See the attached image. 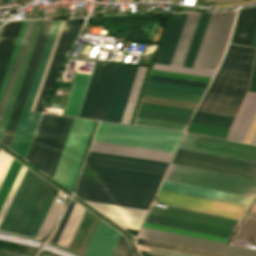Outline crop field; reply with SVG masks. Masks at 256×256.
Returning <instances> with one entry per match:
<instances>
[{
	"mask_svg": "<svg viewBox=\"0 0 256 256\" xmlns=\"http://www.w3.org/2000/svg\"><path fill=\"white\" fill-rule=\"evenodd\" d=\"M242 219L247 206L159 190L154 201ZM164 205L152 206L142 227L227 243L239 219ZM250 208V207H249Z\"/></svg>",
	"mask_w": 256,
	"mask_h": 256,
	"instance_id": "crop-field-1",
	"label": "crop field"
},
{
	"mask_svg": "<svg viewBox=\"0 0 256 256\" xmlns=\"http://www.w3.org/2000/svg\"><path fill=\"white\" fill-rule=\"evenodd\" d=\"M162 177L85 164L76 194L87 201L147 209Z\"/></svg>",
	"mask_w": 256,
	"mask_h": 256,
	"instance_id": "crop-field-2",
	"label": "crop field"
},
{
	"mask_svg": "<svg viewBox=\"0 0 256 256\" xmlns=\"http://www.w3.org/2000/svg\"><path fill=\"white\" fill-rule=\"evenodd\" d=\"M256 49L229 44L198 111L234 117L248 88Z\"/></svg>",
	"mask_w": 256,
	"mask_h": 256,
	"instance_id": "crop-field-3",
	"label": "crop field"
},
{
	"mask_svg": "<svg viewBox=\"0 0 256 256\" xmlns=\"http://www.w3.org/2000/svg\"><path fill=\"white\" fill-rule=\"evenodd\" d=\"M57 191L27 170L0 229L34 238Z\"/></svg>",
	"mask_w": 256,
	"mask_h": 256,
	"instance_id": "crop-field-4",
	"label": "crop field"
},
{
	"mask_svg": "<svg viewBox=\"0 0 256 256\" xmlns=\"http://www.w3.org/2000/svg\"><path fill=\"white\" fill-rule=\"evenodd\" d=\"M182 134L100 122L93 140L173 153Z\"/></svg>",
	"mask_w": 256,
	"mask_h": 256,
	"instance_id": "crop-field-5",
	"label": "crop field"
},
{
	"mask_svg": "<svg viewBox=\"0 0 256 256\" xmlns=\"http://www.w3.org/2000/svg\"><path fill=\"white\" fill-rule=\"evenodd\" d=\"M73 118L46 114L29 162L53 177Z\"/></svg>",
	"mask_w": 256,
	"mask_h": 256,
	"instance_id": "crop-field-6",
	"label": "crop field"
},
{
	"mask_svg": "<svg viewBox=\"0 0 256 256\" xmlns=\"http://www.w3.org/2000/svg\"><path fill=\"white\" fill-rule=\"evenodd\" d=\"M164 180L256 197V180L184 166L171 164Z\"/></svg>",
	"mask_w": 256,
	"mask_h": 256,
	"instance_id": "crop-field-7",
	"label": "crop field"
},
{
	"mask_svg": "<svg viewBox=\"0 0 256 256\" xmlns=\"http://www.w3.org/2000/svg\"><path fill=\"white\" fill-rule=\"evenodd\" d=\"M95 122L93 120L73 119L53 177L70 191L75 182Z\"/></svg>",
	"mask_w": 256,
	"mask_h": 256,
	"instance_id": "crop-field-8",
	"label": "crop field"
},
{
	"mask_svg": "<svg viewBox=\"0 0 256 256\" xmlns=\"http://www.w3.org/2000/svg\"><path fill=\"white\" fill-rule=\"evenodd\" d=\"M237 10L212 12L193 67L216 69L227 43Z\"/></svg>",
	"mask_w": 256,
	"mask_h": 256,
	"instance_id": "crop-field-9",
	"label": "crop field"
},
{
	"mask_svg": "<svg viewBox=\"0 0 256 256\" xmlns=\"http://www.w3.org/2000/svg\"><path fill=\"white\" fill-rule=\"evenodd\" d=\"M120 66L95 63L79 117L104 119Z\"/></svg>",
	"mask_w": 256,
	"mask_h": 256,
	"instance_id": "crop-field-10",
	"label": "crop field"
},
{
	"mask_svg": "<svg viewBox=\"0 0 256 256\" xmlns=\"http://www.w3.org/2000/svg\"><path fill=\"white\" fill-rule=\"evenodd\" d=\"M61 21H54L49 37L48 42L45 45L39 66L37 68L28 98L26 100L17 130L15 132L12 144L10 149H12L17 154L22 157H26L27 151L29 149L32 137L34 135L37 123L39 121L41 113L29 112L31 103L33 101L36 89L38 87L41 75L43 73L47 58L49 56L52 44L54 42L57 30L59 28Z\"/></svg>",
	"mask_w": 256,
	"mask_h": 256,
	"instance_id": "crop-field-11",
	"label": "crop field"
},
{
	"mask_svg": "<svg viewBox=\"0 0 256 256\" xmlns=\"http://www.w3.org/2000/svg\"><path fill=\"white\" fill-rule=\"evenodd\" d=\"M171 163L256 179V163L196 151L178 148Z\"/></svg>",
	"mask_w": 256,
	"mask_h": 256,
	"instance_id": "crop-field-12",
	"label": "crop field"
},
{
	"mask_svg": "<svg viewBox=\"0 0 256 256\" xmlns=\"http://www.w3.org/2000/svg\"><path fill=\"white\" fill-rule=\"evenodd\" d=\"M53 21H42L38 36L36 38L28 65L26 67L18 94L16 96L7 126L1 142L10 147L17 123L19 121L35 70L37 68L44 44L49 34Z\"/></svg>",
	"mask_w": 256,
	"mask_h": 256,
	"instance_id": "crop-field-13",
	"label": "crop field"
},
{
	"mask_svg": "<svg viewBox=\"0 0 256 256\" xmlns=\"http://www.w3.org/2000/svg\"><path fill=\"white\" fill-rule=\"evenodd\" d=\"M180 148L256 162V146L185 133Z\"/></svg>",
	"mask_w": 256,
	"mask_h": 256,
	"instance_id": "crop-field-14",
	"label": "crop field"
},
{
	"mask_svg": "<svg viewBox=\"0 0 256 256\" xmlns=\"http://www.w3.org/2000/svg\"><path fill=\"white\" fill-rule=\"evenodd\" d=\"M138 237L233 256H256V250L142 228Z\"/></svg>",
	"mask_w": 256,
	"mask_h": 256,
	"instance_id": "crop-field-15",
	"label": "crop field"
},
{
	"mask_svg": "<svg viewBox=\"0 0 256 256\" xmlns=\"http://www.w3.org/2000/svg\"><path fill=\"white\" fill-rule=\"evenodd\" d=\"M82 19L66 20L63 30L61 32L55 53L53 55L47 76L45 78L39 99L37 101L34 111L41 112L45 99L54 83L61 59L74 40L80 26Z\"/></svg>",
	"mask_w": 256,
	"mask_h": 256,
	"instance_id": "crop-field-16",
	"label": "crop field"
},
{
	"mask_svg": "<svg viewBox=\"0 0 256 256\" xmlns=\"http://www.w3.org/2000/svg\"><path fill=\"white\" fill-rule=\"evenodd\" d=\"M138 67L122 65L104 120L121 121Z\"/></svg>",
	"mask_w": 256,
	"mask_h": 256,
	"instance_id": "crop-field-17",
	"label": "crop field"
},
{
	"mask_svg": "<svg viewBox=\"0 0 256 256\" xmlns=\"http://www.w3.org/2000/svg\"><path fill=\"white\" fill-rule=\"evenodd\" d=\"M160 189L209 198V199H215V200H220L225 202H231V203H236L241 205H247V206H250L252 201L254 200L253 197H247V196H242L237 194L209 190V189L182 185V184L166 182V181H163Z\"/></svg>",
	"mask_w": 256,
	"mask_h": 256,
	"instance_id": "crop-field-18",
	"label": "crop field"
},
{
	"mask_svg": "<svg viewBox=\"0 0 256 256\" xmlns=\"http://www.w3.org/2000/svg\"><path fill=\"white\" fill-rule=\"evenodd\" d=\"M87 202V201H86ZM123 228L138 230L147 210L88 202Z\"/></svg>",
	"mask_w": 256,
	"mask_h": 256,
	"instance_id": "crop-field-19",
	"label": "crop field"
},
{
	"mask_svg": "<svg viewBox=\"0 0 256 256\" xmlns=\"http://www.w3.org/2000/svg\"><path fill=\"white\" fill-rule=\"evenodd\" d=\"M187 14H172L155 62L171 63Z\"/></svg>",
	"mask_w": 256,
	"mask_h": 256,
	"instance_id": "crop-field-20",
	"label": "crop field"
},
{
	"mask_svg": "<svg viewBox=\"0 0 256 256\" xmlns=\"http://www.w3.org/2000/svg\"><path fill=\"white\" fill-rule=\"evenodd\" d=\"M120 234L100 221L85 256H110Z\"/></svg>",
	"mask_w": 256,
	"mask_h": 256,
	"instance_id": "crop-field-21",
	"label": "crop field"
},
{
	"mask_svg": "<svg viewBox=\"0 0 256 256\" xmlns=\"http://www.w3.org/2000/svg\"><path fill=\"white\" fill-rule=\"evenodd\" d=\"M255 32L256 6L239 9L230 42L251 46Z\"/></svg>",
	"mask_w": 256,
	"mask_h": 256,
	"instance_id": "crop-field-22",
	"label": "crop field"
},
{
	"mask_svg": "<svg viewBox=\"0 0 256 256\" xmlns=\"http://www.w3.org/2000/svg\"><path fill=\"white\" fill-rule=\"evenodd\" d=\"M256 113V93L248 92L226 139L243 141Z\"/></svg>",
	"mask_w": 256,
	"mask_h": 256,
	"instance_id": "crop-field-23",
	"label": "crop field"
},
{
	"mask_svg": "<svg viewBox=\"0 0 256 256\" xmlns=\"http://www.w3.org/2000/svg\"><path fill=\"white\" fill-rule=\"evenodd\" d=\"M89 150L169 162L170 153L93 141Z\"/></svg>",
	"mask_w": 256,
	"mask_h": 256,
	"instance_id": "crop-field-24",
	"label": "crop field"
},
{
	"mask_svg": "<svg viewBox=\"0 0 256 256\" xmlns=\"http://www.w3.org/2000/svg\"><path fill=\"white\" fill-rule=\"evenodd\" d=\"M90 76L91 75L89 74L75 73L62 114L76 117L79 116Z\"/></svg>",
	"mask_w": 256,
	"mask_h": 256,
	"instance_id": "crop-field-25",
	"label": "crop field"
},
{
	"mask_svg": "<svg viewBox=\"0 0 256 256\" xmlns=\"http://www.w3.org/2000/svg\"><path fill=\"white\" fill-rule=\"evenodd\" d=\"M23 21L8 22L0 36V85Z\"/></svg>",
	"mask_w": 256,
	"mask_h": 256,
	"instance_id": "crop-field-26",
	"label": "crop field"
},
{
	"mask_svg": "<svg viewBox=\"0 0 256 256\" xmlns=\"http://www.w3.org/2000/svg\"><path fill=\"white\" fill-rule=\"evenodd\" d=\"M99 221L100 219L85 211L68 249L83 255Z\"/></svg>",
	"mask_w": 256,
	"mask_h": 256,
	"instance_id": "crop-field-27",
	"label": "crop field"
},
{
	"mask_svg": "<svg viewBox=\"0 0 256 256\" xmlns=\"http://www.w3.org/2000/svg\"><path fill=\"white\" fill-rule=\"evenodd\" d=\"M85 163L101 165V166H108V167H115V168H123V169L148 172V173H154V174H160V175H163L167 168L164 166H157V165H151V164L137 163V162H131V161L104 158V157H97V156H91V155L87 156Z\"/></svg>",
	"mask_w": 256,
	"mask_h": 256,
	"instance_id": "crop-field-28",
	"label": "crop field"
},
{
	"mask_svg": "<svg viewBox=\"0 0 256 256\" xmlns=\"http://www.w3.org/2000/svg\"><path fill=\"white\" fill-rule=\"evenodd\" d=\"M41 21H42V20H39V21L36 22V25H35V28H34V30H33V33H32L31 39H30V42H29V44H28V47H27L25 56H24V58H23V61H22L20 70H19V72H18V75H17L16 81H15L14 87H13V89H12V92H11V95H10V98H9V101H8V103H7V106H6L4 115H3V117H2V120H1V123H0V140H1V137H2V134H3V131H4V128H5V126H6V123H7V120H8V117H9V114H10V111H11V108H12V105H13V102H14V99H15V96H16V94H17V91H18V88H19V85H20V82H21V79H22V76H23L25 67H26V65H27V62H28V59H29V56H30V53H31V50H32V47H33V44H34V41H35V38H36V35H37V33H38V30H39ZM37 36H38V35H37Z\"/></svg>",
	"mask_w": 256,
	"mask_h": 256,
	"instance_id": "crop-field-29",
	"label": "crop field"
},
{
	"mask_svg": "<svg viewBox=\"0 0 256 256\" xmlns=\"http://www.w3.org/2000/svg\"><path fill=\"white\" fill-rule=\"evenodd\" d=\"M200 13H189L171 64L183 65Z\"/></svg>",
	"mask_w": 256,
	"mask_h": 256,
	"instance_id": "crop-field-30",
	"label": "crop field"
},
{
	"mask_svg": "<svg viewBox=\"0 0 256 256\" xmlns=\"http://www.w3.org/2000/svg\"><path fill=\"white\" fill-rule=\"evenodd\" d=\"M35 22H36V21H29V22H28V25H27V28H26V31H25L23 40H22V42H21V45H20V48H19V51H18L16 60H15V63H14V66H13V69H12V72H11V75H10V78H9V80H8V83H7V86H6V89H5V92H4V95H3V98H2L1 104H0V120H1V117H2V115H3V112H4V109H5L6 103H7V101H8V98H9V95H10V92H11V89H12V87H13V84H14V81H15V78H16V75H17V72H18V70H19V67H20L22 58H23V56H24V53H25L27 44H28V42H29V39H30L32 30H33V28H34Z\"/></svg>",
	"mask_w": 256,
	"mask_h": 256,
	"instance_id": "crop-field-31",
	"label": "crop field"
},
{
	"mask_svg": "<svg viewBox=\"0 0 256 256\" xmlns=\"http://www.w3.org/2000/svg\"><path fill=\"white\" fill-rule=\"evenodd\" d=\"M209 16H210V13H201L200 14V17H199V20H198V23H197V26H196V29H195V32H194V35H193V38H192V41H191V44H190V47H189V50H188V53H187V56H186L183 66H188V67L193 66V61L195 60V57H196L200 42L202 40Z\"/></svg>",
	"mask_w": 256,
	"mask_h": 256,
	"instance_id": "crop-field-32",
	"label": "crop field"
},
{
	"mask_svg": "<svg viewBox=\"0 0 256 256\" xmlns=\"http://www.w3.org/2000/svg\"><path fill=\"white\" fill-rule=\"evenodd\" d=\"M84 211L85 209L82 208L79 204L77 203L75 204L70 214V217L63 229V232L57 242V245H60L66 248L68 247Z\"/></svg>",
	"mask_w": 256,
	"mask_h": 256,
	"instance_id": "crop-field-33",
	"label": "crop field"
},
{
	"mask_svg": "<svg viewBox=\"0 0 256 256\" xmlns=\"http://www.w3.org/2000/svg\"><path fill=\"white\" fill-rule=\"evenodd\" d=\"M139 111L190 118L194 110L142 102Z\"/></svg>",
	"mask_w": 256,
	"mask_h": 256,
	"instance_id": "crop-field-34",
	"label": "crop field"
},
{
	"mask_svg": "<svg viewBox=\"0 0 256 256\" xmlns=\"http://www.w3.org/2000/svg\"><path fill=\"white\" fill-rule=\"evenodd\" d=\"M147 68L139 67L121 122L129 123Z\"/></svg>",
	"mask_w": 256,
	"mask_h": 256,
	"instance_id": "crop-field-35",
	"label": "crop field"
},
{
	"mask_svg": "<svg viewBox=\"0 0 256 256\" xmlns=\"http://www.w3.org/2000/svg\"><path fill=\"white\" fill-rule=\"evenodd\" d=\"M62 194H63L62 192L58 191V193L48 211V214H47V216L37 234V238H42L43 235L48 231L50 226L53 224V221L61 215L65 205L58 203V201Z\"/></svg>",
	"mask_w": 256,
	"mask_h": 256,
	"instance_id": "crop-field-36",
	"label": "crop field"
},
{
	"mask_svg": "<svg viewBox=\"0 0 256 256\" xmlns=\"http://www.w3.org/2000/svg\"><path fill=\"white\" fill-rule=\"evenodd\" d=\"M228 129L227 127L191 121L186 131L224 138Z\"/></svg>",
	"mask_w": 256,
	"mask_h": 256,
	"instance_id": "crop-field-37",
	"label": "crop field"
},
{
	"mask_svg": "<svg viewBox=\"0 0 256 256\" xmlns=\"http://www.w3.org/2000/svg\"><path fill=\"white\" fill-rule=\"evenodd\" d=\"M147 87L171 90V91H178V92H185V93H192V94H199V95H202L205 90V88H203V87L188 86V85L159 82V81H152V80H149Z\"/></svg>",
	"mask_w": 256,
	"mask_h": 256,
	"instance_id": "crop-field-38",
	"label": "crop field"
},
{
	"mask_svg": "<svg viewBox=\"0 0 256 256\" xmlns=\"http://www.w3.org/2000/svg\"><path fill=\"white\" fill-rule=\"evenodd\" d=\"M144 95L181 100V101H187V102H194V103H198V101L201 98V96L199 95H192V94H185V93H178V92H171V91H164V90H157V89H150V88L146 89Z\"/></svg>",
	"mask_w": 256,
	"mask_h": 256,
	"instance_id": "crop-field-39",
	"label": "crop field"
},
{
	"mask_svg": "<svg viewBox=\"0 0 256 256\" xmlns=\"http://www.w3.org/2000/svg\"><path fill=\"white\" fill-rule=\"evenodd\" d=\"M137 239L139 244H144V245H149V246H154V247H159V248H164L169 250H175V251H180V252H185V253H190V254H195L200 256H227V255L201 251V250H196V249H191V248H186L181 246H175V245H170V244H165V243H160L155 241H149V240H144L139 238Z\"/></svg>",
	"mask_w": 256,
	"mask_h": 256,
	"instance_id": "crop-field-40",
	"label": "crop field"
},
{
	"mask_svg": "<svg viewBox=\"0 0 256 256\" xmlns=\"http://www.w3.org/2000/svg\"><path fill=\"white\" fill-rule=\"evenodd\" d=\"M192 120L229 127L233 118L196 111Z\"/></svg>",
	"mask_w": 256,
	"mask_h": 256,
	"instance_id": "crop-field-41",
	"label": "crop field"
},
{
	"mask_svg": "<svg viewBox=\"0 0 256 256\" xmlns=\"http://www.w3.org/2000/svg\"><path fill=\"white\" fill-rule=\"evenodd\" d=\"M236 238L246 240L256 244V219L247 216L242 227L237 233Z\"/></svg>",
	"mask_w": 256,
	"mask_h": 256,
	"instance_id": "crop-field-42",
	"label": "crop field"
},
{
	"mask_svg": "<svg viewBox=\"0 0 256 256\" xmlns=\"http://www.w3.org/2000/svg\"><path fill=\"white\" fill-rule=\"evenodd\" d=\"M135 124L166 128V129H172V130H179V131H184L187 125L183 123L165 122V121L152 120V119H146V118H140V117L136 118Z\"/></svg>",
	"mask_w": 256,
	"mask_h": 256,
	"instance_id": "crop-field-43",
	"label": "crop field"
},
{
	"mask_svg": "<svg viewBox=\"0 0 256 256\" xmlns=\"http://www.w3.org/2000/svg\"><path fill=\"white\" fill-rule=\"evenodd\" d=\"M27 22H28V21H24V22H23V25H22V28H21V30H20V33H19V36H18L16 45H15V48H14V50H13V53H12V56H11V59H10V62H9V65H8V67H7V70H6V73H5V76H4L2 85H1V87H0V101H1V98H2V95H3V92H4V89H5V86H6L8 77H9V75H10V72H11V69H12V66H13V63H14V60H15V57H16V54H17V51H18V48H19V45H20V42H21V39H22V37H23V34H24V31H25Z\"/></svg>",
	"mask_w": 256,
	"mask_h": 256,
	"instance_id": "crop-field-44",
	"label": "crop field"
},
{
	"mask_svg": "<svg viewBox=\"0 0 256 256\" xmlns=\"http://www.w3.org/2000/svg\"><path fill=\"white\" fill-rule=\"evenodd\" d=\"M26 169H27L26 167L22 166V168H21V170H20V172H19V174H18V176H17V178H16V180H15V182H14V184H13V186H12V188H11V190H10V192H9V194H8L6 200H5V202H4V204L1 208V210H0V224L3 220V218H4V215H5L7 209L10 205V202H11V200H12V198H13L15 192H16V189H17V187H18Z\"/></svg>",
	"mask_w": 256,
	"mask_h": 256,
	"instance_id": "crop-field-45",
	"label": "crop field"
},
{
	"mask_svg": "<svg viewBox=\"0 0 256 256\" xmlns=\"http://www.w3.org/2000/svg\"><path fill=\"white\" fill-rule=\"evenodd\" d=\"M153 68L169 70V71H176V72H183V73H189V74H196V75H203V76H209V77H212L213 73H214L211 71H203V70H196V69L183 68V67H177V66H169V65H159V64H154Z\"/></svg>",
	"mask_w": 256,
	"mask_h": 256,
	"instance_id": "crop-field-46",
	"label": "crop field"
},
{
	"mask_svg": "<svg viewBox=\"0 0 256 256\" xmlns=\"http://www.w3.org/2000/svg\"><path fill=\"white\" fill-rule=\"evenodd\" d=\"M142 101L151 102V103H158V104H165V105H171V106H178V107H185V108H191V109H194L195 106H196V104H194V103H187V102H181V101L160 99V98L147 97V96H144Z\"/></svg>",
	"mask_w": 256,
	"mask_h": 256,
	"instance_id": "crop-field-47",
	"label": "crop field"
},
{
	"mask_svg": "<svg viewBox=\"0 0 256 256\" xmlns=\"http://www.w3.org/2000/svg\"><path fill=\"white\" fill-rule=\"evenodd\" d=\"M88 154H91V155H98V156H104V157H111V158H118V159H124V160H131V161H138V162H144V163L158 164V165H164V166H167V165H168V163H166V162H159V161H153V160H146V159H139V158L126 157V156L105 154V153L92 152V151H89Z\"/></svg>",
	"mask_w": 256,
	"mask_h": 256,
	"instance_id": "crop-field-48",
	"label": "crop field"
},
{
	"mask_svg": "<svg viewBox=\"0 0 256 256\" xmlns=\"http://www.w3.org/2000/svg\"><path fill=\"white\" fill-rule=\"evenodd\" d=\"M64 21H65V20H64ZM64 21H62V22H61L60 28H59V30H58V33H57V36H56V39H55V42H54L53 48H52V50H51V53H50V56H49V59H48L47 65H46V67H45V70H44V73H43V76H42L41 82H40V84H39V87H38V90H37V93H36V96H35L34 102H33L32 107H31V110H32V111L34 110V107H35L36 101H37V99H38V96H39V93H40V90H41V87H42V84H43L44 78H45V76H46V73H47V70H48V67H49V64H50V61H51L52 55H53V53H54V50H55V47H56V44H57V41H58V38H59L60 32H61V30H62V27H63Z\"/></svg>",
	"mask_w": 256,
	"mask_h": 256,
	"instance_id": "crop-field-49",
	"label": "crop field"
},
{
	"mask_svg": "<svg viewBox=\"0 0 256 256\" xmlns=\"http://www.w3.org/2000/svg\"><path fill=\"white\" fill-rule=\"evenodd\" d=\"M111 256H133L124 237L120 236Z\"/></svg>",
	"mask_w": 256,
	"mask_h": 256,
	"instance_id": "crop-field-50",
	"label": "crop field"
},
{
	"mask_svg": "<svg viewBox=\"0 0 256 256\" xmlns=\"http://www.w3.org/2000/svg\"><path fill=\"white\" fill-rule=\"evenodd\" d=\"M13 158L0 150V184L12 162Z\"/></svg>",
	"mask_w": 256,
	"mask_h": 256,
	"instance_id": "crop-field-51",
	"label": "crop field"
},
{
	"mask_svg": "<svg viewBox=\"0 0 256 256\" xmlns=\"http://www.w3.org/2000/svg\"><path fill=\"white\" fill-rule=\"evenodd\" d=\"M149 79L159 80V81H167V82H174V83H181V84H188V85L203 86V87H207V85H208V83H205V82L185 81V80L166 78V77H160V76H154V75H151Z\"/></svg>",
	"mask_w": 256,
	"mask_h": 256,
	"instance_id": "crop-field-52",
	"label": "crop field"
},
{
	"mask_svg": "<svg viewBox=\"0 0 256 256\" xmlns=\"http://www.w3.org/2000/svg\"><path fill=\"white\" fill-rule=\"evenodd\" d=\"M137 116L188 123L189 119L139 112Z\"/></svg>",
	"mask_w": 256,
	"mask_h": 256,
	"instance_id": "crop-field-53",
	"label": "crop field"
},
{
	"mask_svg": "<svg viewBox=\"0 0 256 256\" xmlns=\"http://www.w3.org/2000/svg\"><path fill=\"white\" fill-rule=\"evenodd\" d=\"M138 247L142 251H148V252L164 254V255H169V256H193V255L182 254V253H177V252H172V251H167V250H161V249H156V248H151V247H145V246H140V245H138Z\"/></svg>",
	"mask_w": 256,
	"mask_h": 256,
	"instance_id": "crop-field-54",
	"label": "crop field"
},
{
	"mask_svg": "<svg viewBox=\"0 0 256 256\" xmlns=\"http://www.w3.org/2000/svg\"><path fill=\"white\" fill-rule=\"evenodd\" d=\"M73 205H74V202H71V204H70V206H69L67 212L65 213V215H64V217H63V219H62V221H61V223H60V225H59V228H58V230H57V232H56V234H55V236H54V238H53V241H54V242L57 241V239H58V237H59V235H60V233H61V231H62V228H63V226H64V224H65V222H66V220H67V218H68V215H69V213H70V211H71Z\"/></svg>",
	"mask_w": 256,
	"mask_h": 256,
	"instance_id": "crop-field-55",
	"label": "crop field"
},
{
	"mask_svg": "<svg viewBox=\"0 0 256 256\" xmlns=\"http://www.w3.org/2000/svg\"><path fill=\"white\" fill-rule=\"evenodd\" d=\"M249 91L256 92V61H255V65H254V70H253V75H252Z\"/></svg>",
	"mask_w": 256,
	"mask_h": 256,
	"instance_id": "crop-field-56",
	"label": "crop field"
},
{
	"mask_svg": "<svg viewBox=\"0 0 256 256\" xmlns=\"http://www.w3.org/2000/svg\"><path fill=\"white\" fill-rule=\"evenodd\" d=\"M141 253H142L143 256H163V255H158V254H153V253H147V252H142V251H141Z\"/></svg>",
	"mask_w": 256,
	"mask_h": 256,
	"instance_id": "crop-field-57",
	"label": "crop field"
},
{
	"mask_svg": "<svg viewBox=\"0 0 256 256\" xmlns=\"http://www.w3.org/2000/svg\"><path fill=\"white\" fill-rule=\"evenodd\" d=\"M250 143L256 144V132H255V134H254V136H253V138H252Z\"/></svg>",
	"mask_w": 256,
	"mask_h": 256,
	"instance_id": "crop-field-58",
	"label": "crop field"
},
{
	"mask_svg": "<svg viewBox=\"0 0 256 256\" xmlns=\"http://www.w3.org/2000/svg\"><path fill=\"white\" fill-rule=\"evenodd\" d=\"M249 216L256 218V211L251 210V212L249 213Z\"/></svg>",
	"mask_w": 256,
	"mask_h": 256,
	"instance_id": "crop-field-59",
	"label": "crop field"
},
{
	"mask_svg": "<svg viewBox=\"0 0 256 256\" xmlns=\"http://www.w3.org/2000/svg\"><path fill=\"white\" fill-rule=\"evenodd\" d=\"M206 1H211V2H227V1H222V0H206Z\"/></svg>",
	"mask_w": 256,
	"mask_h": 256,
	"instance_id": "crop-field-60",
	"label": "crop field"
},
{
	"mask_svg": "<svg viewBox=\"0 0 256 256\" xmlns=\"http://www.w3.org/2000/svg\"><path fill=\"white\" fill-rule=\"evenodd\" d=\"M252 46L256 47V35Z\"/></svg>",
	"mask_w": 256,
	"mask_h": 256,
	"instance_id": "crop-field-61",
	"label": "crop field"
},
{
	"mask_svg": "<svg viewBox=\"0 0 256 256\" xmlns=\"http://www.w3.org/2000/svg\"><path fill=\"white\" fill-rule=\"evenodd\" d=\"M0 256H6V255H1V254H0Z\"/></svg>",
	"mask_w": 256,
	"mask_h": 256,
	"instance_id": "crop-field-62",
	"label": "crop field"
},
{
	"mask_svg": "<svg viewBox=\"0 0 256 256\" xmlns=\"http://www.w3.org/2000/svg\"><path fill=\"white\" fill-rule=\"evenodd\" d=\"M1 30H2V28L0 29V33H1Z\"/></svg>",
	"mask_w": 256,
	"mask_h": 256,
	"instance_id": "crop-field-63",
	"label": "crop field"
}]
</instances>
